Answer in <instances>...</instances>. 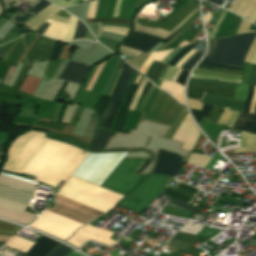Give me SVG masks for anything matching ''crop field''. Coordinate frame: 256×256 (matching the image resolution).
I'll return each mask as SVG.
<instances>
[{"instance_id": "obj_49", "label": "crop field", "mask_w": 256, "mask_h": 256, "mask_svg": "<svg viewBox=\"0 0 256 256\" xmlns=\"http://www.w3.org/2000/svg\"><path fill=\"white\" fill-rule=\"evenodd\" d=\"M255 48H256V38H255V40H254V42H253V44H252V46H251V48H250V50H249V52H248V54H247V56H246L244 61H247V62L250 61L251 56H252Z\"/></svg>"}, {"instance_id": "obj_16", "label": "crop field", "mask_w": 256, "mask_h": 256, "mask_svg": "<svg viewBox=\"0 0 256 256\" xmlns=\"http://www.w3.org/2000/svg\"><path fill=\"white\" fill-rule=\"evenodd\" d=\"M161 40L162 39L158 37L134 31L133 34L128 38V40L123 44V46L131 47L141 52H144L150 51L151 48L155 44L159 43Z\"/></svg>"}, {"instance_id": "obj_50", "label": "crop field", "mask_w": 256, "mask_h": 256, "mask_svg": "<svg viewBox=\"0 0 256 256\" xmlns=\"http://www.w3.org/2000/svg\"><path fill=\"white\" fill-rule=\"evenodd\" d=\"M152 159L153 157L149 156L148 159L144 162V164L135 173L139 174L141 171H143Z\"/></svg>"}, {"instance_id": "obj_66", "label": "crop field", "mask_w": 256, "mask_h": 256, "mask_svg": "<svg viewBox=\"0 0 256 256\" xmlns=\"http://www.w3.org/2000/svg\"><path fill=\"white\" fill-rule=\"evenodd\" d=\"M210 1L217 4V5L221 2V0H210Z\"/></svg>"}, {"instance_id": "obj_53", "label": "crop field", "mask_w": 256, "mask_h": 256, "mask_svg": "<svg viewBox=\"0 0 256 256\" xmlns=\"http://www.w3.org/2000/svg\"><path fill=\"white\" fill-rule=\"evenodd\" d=\"M49 26L48 23H43L38 30L36 31V33H40L43 35V33L45 32V30L47 29V27Z\"/></svg>"}, {"instance_id": "obj_4", "label": "crop field", "mask_w": 256, "mask_h": 256, "mask_svg": "<svg viewBox=\"0 0 256 256\" xmlns=\"http://www.w3.org/2000/svg\"><path fill=\"white\" fill-rule=\"evenodd\" d=\"M122 62L123 61L117 57L107 60L91 91H83L85 90L96 67L92 68L81 86V89L83 90L80 89L79 94L77 93L78 95L73 102L93 109L101 94H109Z\"/></svg>"}, {"instance_id": "obj_23", "label": "crop field", "mask_w": 256, "mask_h": 256, "mask_svg": "<svg viewBox=\"0 0 256 256\" xmlns=\"http://www.w3.org/2000/svg\"><path fill=\"white\" fill-rule=\"evenodd\" d=\"M101 119L102 117L98 115L96 112H94L83 136L95 139L100 127Z\"/></svg>"}, {"instance_id": "obj_25", "label": "crop field", "mask_w": 256, "mask_h": 256, "mask_svg": "<svg viewBox=\"0 0 256 256\" xmlns=\"http://www.w3.org/2000/svg\"><path fill=\"white\" fill-rule=\"evenodd\" d=\"M138 85H132L131 89H130V92H129V95L126 99V102H125V105H124V109H123V114H122V120H121V125H120V128L119 130L122 131L125 124H126V120H127V116H128V109L130 107V104H131V101L138 89Z\"/></svg>"}, {"instance_id": "obj_8", "label": "crop field", "mask_w": 256, "mask_h": 256, "mask_svg": "<svg viewBox=\"0 0 256 256\" xmlns=\"http://www.w3.org/2000/svg\"><path fill=\"white\" fill-rule=\"evenodd\" d=\"M81 226L83 225L56 215L47 210L40 216L38 220H36L31 225V227L37 230L48 233L64 241Z\"/></svg>"}, {"instance_id": "obj_24", "label": "crop field", "mask_w": 256, "mask_h": 256, "mask_svg": "<svg viewBox=\"0 0 256 256\" xmlns=\"http://www.w3.org/2000/svg\"><path fill=\"white\" fill-rule=\"evenodd\" d=\"M32 244L33 242L15 236L9 240L6 245L26 253Z\"/></svg>"}, {"instance_id": "obj_69", "label": "crop field", "mask_w": 256, "mask_h": 256, "mask_svg": "<svg viewBox=\"0 0 256 256\" xmlns=\"http://www.w3.org/2000/svg\"><path fill=\"white\" fill-rule=\"evenodd\" d=\"M16 1H17V0H16ZM24 1L33 3L35 0H24Z\"/></svg>"}, {"instance_id": "obj_18", "label": "crop field", "mask_w": 256, "mask_h": 256, "mask_svg": "<svg viewBox=\"0 0 256 256\" xmlns=\"http://www.w3.org/2000/svg\"><path fill=\"white\" fill-rule=\"evenodd\" d=\"M182 183L178 182L175 188L165 185L162 194L190 204L198 190Z\"/></svg>"}, {"instance_id": "obj_43", "label": "crop field", "mask_w": 256, "mask_h": 256, "mask_svg": "<svg viewBox=\"0 0 256 256\" xmlns=\"http://www.w3.org/2000/svg\"><path fill=\"white\" fill-rule=\"evenodd\" d=\"M49 4L51 3L47 2L46 0H41L37 5L34 6L33 9H31V12L37 14L41 10H43L45 7H47Z\"/></svg>"}, {"instance_id": "obj_48", "label": "crop field", "mask_w": 256, "mask_h": 256, "mask_svg": "<svg viewBox=\"0 0 256 256\" xmlns=\"http://www.w3.org/2000/svg\"><path fill=\"white\" fill-rule=\"evenodd\" d=\"M187 74H188L187 71L182 70V72L176 82H178L181 85H184Z\"/></svg>"}, {"instance_id": "obj_17", "label": "crop field", "mask_w": 256, "mask_h": 256, "mask_svg": "<svg viewBox=\"0 0 256 256\" xmlns=\"http://www.w3.org/2000/svg\"><path fill=\"white\" fill-rule=\"evenodd\" d=\"M91 66L69 61L59 79L82 84Z\"/></svg>"}, {"instance_id": "obj_59", "label": "crop field", "mask_w": 256, "mask_h": 256, "mask_svg": "<svg viewBox=\"0 0 256 256\" xmlns=\"http://www.w3.org/2000/svg\"><path fill=\"white\" fill-rule=\"evenodd\" d=\"M202 62H203V63H206V64H210V65L221 66V67H227V66H223V65H219V64L209 63V62H204V61H202ZM227 68H231V67H227ZM233 69H238V68H233ZM239 70H242V69H239Z\"/></svg>"}, {"instance_id": "obj_57", "label": "crop field", "mask_w": 256, "mask_h": 256, "mask_svg": "<svg viewBox=\"0 0 256 256\" xmlns=\"http://www.w3.org/2000/svg\"><path fill=\"white\" fill-rule=\"evenodd\" d=\"M241 0H235L234 4L232 5V7L230 8V11L234 12V10L236 9V7L238 6V4L240 3Z\"/></svg>"}, {"instance_id": "obj_58", "label": "crop field", "mask_w": 256, "mask_h": 256, "mask_svg": "<svg viewBox=\"0 0 256 256\" xmlns=\"http://www.w3.org/2000/svg\"><path fill=\"white\" fill-rule=\"evenodd\" d=\"M10 237L8 236H0V240L7 241ZM0 241V244H5V242Z\"/></svg>"}, {"instance_id": "obj_13", "label": "crop field", "mask_w": 256, "mask_h": 256, "mask_svg": "<svg viewBox=\"0 0 256 256\" xmlns=\"http://www.w3.org/2000/svg\"><path fill=\"white\" fill-rule=\"evenodd\" d=\"M115 2H116V0H111V3H110V0H104L99 18H106L109 3H110V8H109L107 18H112L114 7H115ZM135 2H136V0H132V4H131V0H117L113 18L116 17V18L127 19L129 9H130V4H131V9H130L128 19L132 20L133 16H134V12H135V10L132 8H133ZM101 4H102V0H99V5H98V9H97L95 18H98V16H99Z\"/></svg>"}, {"instance_id": "obj_9", "label": "crop field", "mask_w": 256, "mask_h": 256, "mask_svg": "<svg viewBox=\"0 0 256 256\" xmlns=\"http://www.w3.org/2000/svg\"><path fill=\"white\" fill-rule=\"evenodd\" d=\"M54 202L57 204L52 209L47 210L74 220L83 225L104 214L59 195H57Z\"/></svg>"}, {"instance_id": "obj_22", "label": "crop field", "mask_w": 256, "mask_h": 256, "mask_svg": "<svg viewBox=\"0 0 256 256\" xmlns=\"http://www.w3.org/2000/svg\"><path fill=\"white\" fill-rule=\"evenodd\" d=\"M115 133L110 131L101 130L97 140H93L89 149L91 150H104L107 141Z\"/></svg>"}, {"instance_id": "obj_12", "label": "crop field", "mask_w": 256, "mask_h": 256, "mask_svg": "<svg viewBox=\"0 0 256 256\" xmlns=\"http://www.w3.org/2000/svg\"><path fill=\"white\" fill-rule=\"evenodd\" d=\"M122 68H124V70L117 83L114 94L112 96V99L110 101V104L108 106V109L106 111V114L104 116V119L100 128H104V129L109 128L132 72L137 73L132 67H130L125 62L122 65Z\"/></svg>"}, {"instance_id": "obj_14", "label": "crop field", "mask_w": 256, "mask_h": 256, "mask_svg": "<svg viewBox=\"0 0 256 256\" xmlns=\"http://www.w3.org/2000/svg\"><path fill=\"white\" fill-rule=\"evenodd\" d=\"M182 158L183 156L160 149L153 173L173 177L183 164L180 162Z\"/></svg>"}, {"instance_id": "obj_68", "label": "crop field", "mask_w": 256, "mask_h": 256, "mask_svg": "<svg viewBox=\"0 0 256 256\" xmlns=\"http://www.w3.org/2000/svg\"><path fill=\"white\" fill-rule=\"evenodd\" d=\"M119 251L115 250V252L112 254V256H117Z\"/></svg>"}, {"instance_id": "obj_1", "label": "crop field", "mask_w": 256, "mask_h": 256, "mask_svg": "<svg viewBox=\"0 0 256 256\" xmlns=\"http://www.w3.org/2000/svg\"><path fill=\"white\" fill-rule=\"evenodd\" d=\"M45 135L31 131L19 136L8 148L3 168L32 174L38 181L56 188L62 178L72 175L89 151ZM126 153L91 152L73 176L100 185Z\"/></svg>"}, {"instance_id": "obj_55", "label": "crop field", "mask_w": 256, "mask_h": 256, "mask_svg": "<svg viewBox=\"0 0 256 256\" xmlns=\"http://www.w3.org/2000/svg\"><path fill=\"white\" fill-rule=\"evenodd\" d=\"M247 19H249L255 23L256 22V10Z\"/></svg>"}, {"instance_id": "obj_11", "label": "crop field", "mask_w": 256, "mask_h": 256, "mask_svg": "<svg viewBox=\"0 0 256 256\" xmlns=\"http://www.w3.org/2000/svg\"><path fill=\"white\" fill-rule=\"evenodd\" d=\"M113 232L106 231L100 228L86 225L73 234L66 242L80 248L86 240H94L109 246H112L116 241L110 239Z\"/></svg>"}, {"instance_id": "obj_40", "label": "crop field", "mask_w": 256, "mask_h": 256, "mask_svg": "<svg viewBox=\"0 0 256 256\" xmlns=\"http://www.w3.org/2000/svg\"><path fill=\"white\" fill-rule=\"evenodd\" d=\"M232 112L233 111L228 110V108H225V110H224V112H223V114H222L218 124L226 126V124H227V122H228Z\"/></svg>"}, {"instance_id": "obj_5", "label": "crop field", "mask_w": 256, "mask_h": 256, "mask_svg": "<svg viewBox=\"0 0 256 256\" xmlns=\"http://www.w3.org/2000/svg\"><path fill=\"white\" fill-rule=\"evenodd\" d=\"M255 35L256 33L221 38L212 56H205L203 60L242 68L243 60Z\"/></svg>"}, {"instance_id": "obj_72", "label": "crop field", "mask_w": 256, "mask_h": 256, "mask_svg": "<svg viewBox=\"0 0 256 256\" xmlns=\"http://www.w3.org/2000/svg\"><path fill=\"white\" fill-rule=\"evenodd\" d=\"M196 74V73H195ZM201 75H204V74H201ZM225 78H228V77H225ZM237 78V77H236Z\"/></svg>"}, {"instance_id": "obj_71", "label": "crop field", "mask_w": 256, "mask_h": 256, "mask_svg": "<svg viewBox=\"0 0 256 256\" xmlns=\"http://www.w3.org/2000/svg\"><path fill=\"white\" fill-rule=\"evenodd\" d=\"M82 0H79V2H81ZM86 2V1H85ZM81 3H83V2H81ZM79 4V3H78Z\"/></svg>"}, {"instance_id": "obj_38", "label": "crop field", "mask_w": 256, "mask_h": 256, "mask_svg": "<svg viewBox=\"0 0 256 256\" xmlns=\"http://www.w3.org/2000/svg\"><path fill=\"white\" fill-rule=\"evenodd\" d=\"M31 17V15L21 12L18 10V13L13 18L14 21L19 22L23 24L26 20H28Z\"/></svg>"}, {"instance_id": "obj_51", "label": "crop field", "mask_w": 256, "mask_h": 256, "mask_svg": "<svg viewBox=\"0 0 256 256\" xmlns=\"http://www.w3.org/2000/svg\"><path fill=\"white\" fill-rule=\"evenodd\" d=\"M217 40L209 41V52L207 53L208 56H211L215 46H216Z\"/></svg>"}, {"instance_id": "obj_39", "label": "crop field", "mask_w": 256, "mask_h": 256, "mask_svg": "<svg viewBox=\"0 0 256 256\" xmlns=\"http://www.w3.org/2000/svg\"><path fill=\"white\" fill-rule=\"evenodd\" d=\"M251 23L247 22L246 20L242 19V22L236 32V34H244V33H248V32H254L251 30H248L249 26Z\"/></svg>"}, {"instance_id": "obj_54", "label": "crop field", "mask_w": 256, "mask_h": 256, "mask_svg": "<svg viewBox=\"0 0 256 256\" xmlns=\"http://www.w3.org/2000/svg\"><path fill=\"white\" fill-rule=\"evenodd\" d=\"M216 203L228 204V205H233V206H236V205L238 204L237 202H233V201H223V200H217Z\"/></svg>"}, {"instance_id": "obj_47", "label": "crop field", "mask_w": 256, "mask_h": 256, "mask_svg": "<svg viewBox=\"0 0 256 256\" xmlns=\"http://www.w3.org/2000/svg\"><path fill=\"white\" fill-rule=\"evenodd\" d=\"M103 21H110V22H122L130 24V21L127 20H119V19H89L88 22H103Z\"/></svg>"}, {"instance_id": "obj_41", "label": "crop field", "mask_w": 256, "mask_h": 256, "mask_svg": "<svg viewBox=\"0 0 256 256\" xmlns=\"http://www.w3.org/2000/svg\"><path fill=\"white\" fill-rule=\"evenodd\" d=\"M22 40L21 38L16 39L13 44L8 48L4 56L1 58L3 61H7L8 57L10 56L11 52L14 50V48L19 44V42Z\"/></svg>"}, {"instance_id": "obj_65", "label": "crop field", "mask_w": 256, "mask_h": 256, "mask_svg": "<svg viewBox=\"0 0 256 256\" xmlns=\"http://www.w3.org/2000/svg\"><path fill=\"white\" fill-rule=\"evenodd\" d=\"M5 51H6V50L0 48V58H1L2 55L5 53Z\"/></svg>"}, {"instance_id": "obj_31", "label": "crop field", "mask_w": 256, "mask_h": 256, "mask_svg": "<svg viewBox=\"0 0 256 256\" xmlns=\"http://www.w3.org/2000/svg\"><path fill=\"white\" fill-rule=\"evenodd\" d=\"M79 21L77 22L76 31H75V35H74L73 40L80 39V38L84 39L85 36H86L87 27Z\"/></svg>"}, {"instance_id": "obj_62", "label": "crop field", "mask_w": 256, "mask_h": 256, "mask_svg": "<svg viewBox=\"0 0 256 256\" xmlns=\"http://www.w3.org/2000/svg\"><path fill=\"white\" fill-rule=\"evenodd\" d=\"M179 31L177 30V31H175L173 34H171L170 36H168L166 39H164L163 41H167V40H169L170 38H172L174 35H176L177 33H178Z\"/></svg>"}, {"instance_id": "obj_70", "label": "crop field", "mask_w": 256, "mask_h": 256, "mask_svg": "<svg viewBox=\"0 0 256 256\" xmlns=\"http://www.w3.org/2000/svg\"><path fill=\"white\" fill-rule=\"evenodd\" d=\"M254 113H256V104H255V110H254Z\"/></svg>"}, {"instance_id": "obj_73", "label": "crop field", "mask_w": 256, "mask_h": 256, "mask_svg": "<svg viewBox=\"0 0 256 256\" xmlns=\"http://www.w3.org/2000/svg\"><path fill=\"white\" fill-rule=\"evenodd\" d=\"M65 1L69 2V0H65Z\"/></svg>"}, {"instance_id": "obj_28", "label": "crop field", "mask_w": 256, "mask_h": 256, "mask_svg": "<svg viewBox=\"0 0 256 256\" xmlns=\"http://www.w3.org/2000/svg\"><path fill=\"white\" fill-rule=\"evenodd\" d=\"M212 106L211 105H203V108L201 111L198 110H191V113L195 119V121L199 124L200 120L202 119L203 116L208 117L210 111H211Z\"/></svg>"}, {"instance_id": "obj_6", "label": "crop field", "mask_w": 256, "mask_h": 256, "mask_svg": "<svg viewBox=\"0 0 256 256\" xmlns=\"http://www.w3.org/2000/svg\"><path fill=\"white\" fill-rule=\"evenodd\" d=\"M166 180L167 177L165 176L150 175L138 188L134 189L119 203V205L140 214L159 197Z\"/></svg>"}, {"instance_id": "obj_63", "label": "crop field", "mask_w": 256, "mask_h": 256, "mask_svg": "<svg viewBox=\"0 0 256 256\" xmlns=\"http://www.w3.org/2000/svg\"><path fill=\"white\" fill-rule=\"evenodd\" d=\"M150 84H151V83L147 82V84H146V86H145V88H144L142 94H145V92H146L147 89L149 88Z\"/></svg>"}, {"instance_id": "obj_36", "label": "crop field", "mask_w": 256, "mask_h": 256, "mask_svg": "<svg viewBox=\"0 0 256 256\" xmlns=\"http://www.w3.org/2000/svg\"><path fill=\"white\" fill-rule=\"evenodd\" d=\"M170 204H173V205H175V206L181 207V208H183V209H186V210H189V211H192V212H195V213H196V211L198 210V208H196V207H194V206H192V205H188V204H186V203L180 202V201L175 200V199H173V200L170 202Z\"/></svg>"}, {"instance_id": "obj_19", "label": "crop field", "mask_w": 256, "mask_h": 256, "mask_svg": "<svg viewBox=\"0 0 256 256\" xmlns=\"http://www.w3.org/2000/svg\"><path fill=\"white\" fill-rule=\"evenodd\" d=\"M59 8H57L54 5H49L47 8H45L43 11H41L39 14H37L35 17H33L29 22H27L24 26L30 28L32 31H36V29L47 19L52 18L63 22H68L69 19L67 18H60L56 15Z\"/></svg>"}, {"instance_id": "obj_27", "label": "crop field", "mask_w": 256, "mask_h": 256, "mask_svg": "<svg viewBox=\"0 0 256 256\" xmlns=\"http://www.w3.org/2000/svg\"><path fill=\"white\" fill-rule=\"evenodd\" d=\"M21 229V227L0 221V234H7L13 236Z\"/></svg>"}, {"instance_id": "obj_15", "label": "crop field", "mask_w": 256, "mask_h": 256, "mask_svg": "<svg viewBox=\"0 0 256 256\" xmlns=\"http://www.w3.org/2000/svg\"><path fill=\"white\" fill-rule=\"evenodd\" d=\"M51 23L45 32V36H49L61 41H70L73 38L77 19L70 17L68 24L49 19L46 21Z\"/></svg>"}, {"instance_id": "obj_33", "label": "crop field", "mask_w": 256, "mask_h": 256, "mask_svg": "<svg viewBox=\"0 0 256 256\" xmlns=\"http://www.w3.org/2000/svg\"><path fill=\"white\" fill-rule=\"evenodd\" d=\"M196 44L189 45L185 47L183 50H181L177 55H175L171 61L168 63V65L174 66V64L180 60L186 53H188Z\"/></svg>"}, {"instance_id": "obj_64", "label": "crop field", "mask_w": 256, "mask_h": 256, "mask_svg": "<svg viewBox=\"0 0 256 256\" xmlns=\"http://www.w3.org/2000/svg\"><path fill=\"white\" fill-rule=\"evenodd\" d=\"M69 253H70V252H69ZM67 256H80V255L72 251V252H71L70 254H68Z\"/></svg>"}, {"instance_id": "obj_26", "label": "crop field", "mask_w": 256, "mask_h": 256, "mask_svg": "<svg viewBox=\"0 0 256 256\" xmlns=\"http://www.w3.org/2000/svg\"><path fill=\"white\" fill-rule=\"evenodd\" d=\"M171 50H166L163 52H152L151 55L149 56V58L147 59V61L145 62V64L143 65V67L141 68L140 72H142L144 75L148 69V67L150 66V64L152 63L153 60L155 61H159L161 62V60L166 57L171 51Z\"/></svg>"}, {"instance_id": "obj_10", "label": "crop field", "mask_w": 256, "mask_h": 256, "mask_svg": "<svg viewBox=\"0 0 256 256\" xmlns=\"http://www.w3.org/2000/svg\"><path fill=\"white\" fill-rule=\"evenodd\" d=\"M233 129L256 134V114L239 112V117ZM241 132L240 148L233 149V154L256 152V135Z\"/></svg>"}, {"instance_id": "obj_7", "label": "crop field", "mask_w": 256, "mask_h": 256, "mask_svg": "<svg viewBox=\"0 0 256 256\" xmlns=\"http://www.w3.org/2000/svg\"><path fill=\"white\" fill-rule=\"evenodd\" d=\"M141 158H123L101 187L123 195L144 175L133 174L145 161Z\"/></svg>"}, {"instance_id": "obj_37", "label": "crop field", "mask_w": 256, "mask_h": 256, "mask_svg": "<svg viewBox=\"0 0 256 256\" xmlns=\"http://www.w3.org/2000/svg\"><path fill=\"white\" fill-rule=\"evenodd\" d=\"M202 56V53L197 52L183 67L182 69L190 71L198 59ZM200 60V59H199Z\"/></svg>"}, {"instance_id": "obj_44", "label": "crop field", "mask_w": 256, "mask_h": 256, "mask_svg": "<svg viewBox=\"0 0 256 256\" xmlns=\"http://www.w3.org/2000/svg\"><path fill=\"white\" fill-rule=\"evenodd\" d=\"M223 110L224 109H222V108H215V107H213V109L211 111V114L209 116V119L217 122L219 117L221 116Z\"/></svg>"}, {"instance_id": "obj_20", "label": "crop field", "mask_w": 256, "mask_h": 256, "mask_svg": "<svg viewBox=\"0 0 256 256\" xmlns=\"http://www.w3.org/2000/svg\"><path fill=\"white\" fill-rule=\"evenodd\" d=\"M58 245H59L58 243L41 235L40 238L35 242V244L27 252V254L32 256H46Z\"/></svg>"}, {"instance_id": "obj_46", "label": "crop field", "mask_w": 256, "mask_h": 256, "mask_svg": "<svg viewBox=\"0 0 256 256\" xmlns=\"http://www.w3.org/2000/svg\"><path fill=\"white\" fill-rule=\"evenodd\" d=\"M57 43L56 41L49 61L57 59L60 54L63 46L57 45Z\"/></svg>"}, {"instance_id": "obj_61", "label": "crop field", "mask_w": 256, "mask_h": 256, "mask_svg": "<svg viewBox=\"0 0 256 256\" xmlns=\"http://www.w3.org/2000/svg\"><path fill=\"white\" fill-rule=\"evenodd\" d=\"M250 62L256 64V50H255Z\"/></svg>"}, {"instance_id": "obj_35", "label": "crop field", "mask_w": 256, "mask_h": 256, "mask_svg": "<svg viewBox=\"0 0 256 256\" xmlns=\"http://www.w3.org/2000/svg\"><path fill=\"white\" fill-rule=\"evenodd\" d=\"M191 78L211 79V80H216V81L233 82V83H239V81H240V80H237V79H225V78H218V77H206V76L195 75V74H192Z\"/></svg>"}, {"instance_id": "obj_45", "label": "crop field", "mask_w": 256, "mask_h": 256, "mask_svg": "<svg viewBox=\"0 0 256 256\" xmlns=\"http://www.w3.org/2000/svg\"><path fill=\"white\" fill-rule=\"evenodd\" d=\"M253 93H254V87L249 86V94H248V97H247V100H246L245 106H244V112H246V113H249V107H250V102L253 97Z\"/></svg>"}, {"instance_id": "obj_3", "label": "crop field", "mask_w": 256, "mask_h": 256, "mask_svg": "<svg viewBox=\"0 0 256 256\" xmlns=\"http://www.w3.org/2000/svg\"><path fill=\"white\" fill-rule=\"evenodd\" d=\"M59 195L88 205L103 212L112 209L123 196L84 181L70 177Z\"/></svg>"}, {"instance_id": "obj_30", "label": "crop field", "mask_w": 256, "mask_h": 256, "mask_svg": "<svg viewBox=\"0 0 256 256\" xmlns=\"http://www.w3.org/2000/svg\"><path fill=\"white\" fill-rule=\"evenodd\" d=\"M190 88H195V89H199V90H204L207 91L209 93L212 94H217V95H223V96H229L232 97L234 94V91H230V90H219V89H209V88H199V87H191L188 86Z\"/></svg>"}, {"instance_id": "obj_21", "label": "crop field", "mask_w": 256, "mask_h": 256, "mask_svg": "<svg viewBox=\"0 0 256 256\" xmlns=\"http://www.w3.org/2000/svg\"><path fill=\"white\" fill-rule=\"evenodd\" d=\"M160 87L170 92L171 95L177 98L182 104H185L183 97V86L177 83L163 81Z\"/></svg>"}, {"instance_id": "obj_29", "label": "crop field", "mask_w": 256, "mask_h": 256, "mask_svg": "<svg viewBox=\"0 0 256 256\" xmlns=\"http://www.w3.org/2000/svg\"><path fill=\"white\" fill-rule=\"evenodd\" d=\"M164 67H165V64L156 62L155 65L152 67V69L149 72L147 77H149L153 80H158V78H159L160 74L162 73Z\"/></svg>"}, {"instance_id": "obj_56", "label": "crop field", "mask_w": 256, "mask_h": 256, "mask_svg": "<svg viewBox=\"0 0 256 256\" xmlns=\"http://www.w3.org/2000/svg\"><path fill=\"white\" fill-rule=\"evenodd\" d=\"M211 15L209 13V11L207 12V14L204 16V21H205V26L206 24L209 22V20L211 19Z\"/></svg>"}, {"instance_id": "obj_42", "label": "crop field", "mask_w": 256, "mask_h": 256, "mask_svg": "<svg viewBox=\"0 0 256 256\" xmlns=\"http://www.w3.org/2000/svg\"><path fill=\"white\" fill-rule=\"evenodd\" d=\"M68 63V61L66 60H62L60 65L58 66L57 70L55 71L54 75L51 78V82H55V80L58 78V76L60 75V73L62 72V70L64 69V67L66 66V64Z\"/></svg>"}, {"instance_id": "obj_52", "label": "crop field", "mask_w": 256, "mask_h": 256, "mask_svg": "<svg viewBox=\"0 0 256 256\" xmlns=\"http://www.w3.org/2000/svg\"><path fill=\"white\" fill-rule=\"evenodd\" d=\"M135 75H136V74L133 73L132 76H131V78H130V80H129V82H128L127 88H126V90H125L124 96H123L122 101H121L122 104H123V101H124V99H125V96H126L128 90H129V88H130V85H131V83H132V81H133Z\"/></svg>"}, {"instance_id": "obj_32", "label": "crop field", "mask_w": 256, "mask_h": 256, "mask_svg": "<svg viewBox=\"0 0 256 256\" xmlns=\"http://www.w3.org/2000/svg\"><path fill=\"white\" fill-rule=\"evenodd\" d=\"M198 67L206 68V69H212V70H218L220 72L224 73H233V74H241L242 71L239 70H233V69H227V68H220V67H214L206 64L200 63Z\"/></svg>"}, {"instance_id": "obj_60", "label": "crop field", "mask_w": 256, "mask_h": 256, "mask_svg": "<svg viewBox=\"0 0 256 256\" xmlns=\"http://www.w3.org/2000/svg\"><path fill=\"white\" fill-rule=\"evenodd\" d=\"M181 70L178 69V71L176 72V74L173 76L172 80L176 81V79L178 78L179 74H180Z\"/></svg>"}, {"instance_id": "obj_67", "label": "crop field", "mask_w": 256, "mask_h": 256, "mask_svg": "<svg viewBox=\"0 0 256 256\" xmlns=\"http://www.w3.org/2000/svg\"><path fill=\"white\" fill-rule=\"evenodd\" d=\"M195 52H196V50H195L192 54H194ZM192 54H191V55H192ZM191 55H190V56H191ZM190 56H189V57H190ZM189 57H188V58H189ZM188 58H187L185 61H187V60H188ZM185 61H184V62H185ZM184 62H182L178 68H180V67H181V65H182Z\"/></svg>"}, {"instance_id": "obj_34", "label": "crop field", "mask_w": 256, "mask_h": 256, "mask_svg": "<svg viewBox=\"0 0 256 256\" xmlns=\"http://www.w3.org/2000/svg\"><path fill=\"white\" fill-rule=\"evenodd\" d=\"M72 249L64 246V245H60L59 247H57L51 254H49L48 256H64L66 255L69 251H71Z\"/></svg>"}, {"instance_id": "obj_2", "label": "crop field", "mask_w": 256, "mask_h": 256, "mask_svg": "<svg viewBox=\"0 0 256 256\" xmlns=\"http://www.w3.org/2000/svg\"><path fill=\"white\" fill-rule=\"evenodd\" d=\"M34 182L0 174V217L29 225L36 216L23 212L34 192Z\"/></svg>"}]
</instances>
